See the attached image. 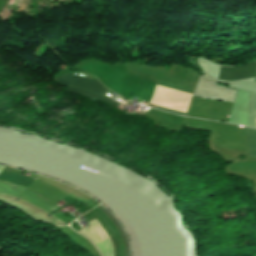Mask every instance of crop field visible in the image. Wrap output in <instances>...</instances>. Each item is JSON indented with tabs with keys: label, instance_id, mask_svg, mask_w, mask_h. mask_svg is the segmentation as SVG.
Wrapping results in <instances>:
<instances>
[{
	"label": "crop field",
	"instance_id": "1",
	"mask_svg": "<svg viewBox=\"0 0 256 256\" xmlns=\"http://www.w3.org/2000/svg\"><path fill=\"white\" fill-rule=\"evenodd\" d=\"M191 96V94L157 86L150 104L156 106L157 109L185 116Z\"/></svg>",
	"mask_w": 256,
	"mask_h": 256
},
{
	"label": "crop field",
	"instance_id": "2",
	"mask_svg": "<svg viewBox=\"0 0 256 256\" xmlns=\"http://www.w3.org/2000/svg\"><path fill=\"white\" fill-rule=\"evenodd\" d=\"M55 80H58V83H62V84L82 88V89L89 90V91H92V92H96V93H99V94H102V95L107 91V89L104 88L99 83V81L87 79V78L80 77V76L73 75V74H69V73H66V74L62 75V76L58 77Z\"/></svg>",
	"mask_w": 256,
	"mask_h": 256
},
{
	"label": "crop field",
	"instance_id": "3",
	"mask_svg": "<svg viewBox=\"0 0 256 256\" xmlns=\"http://www.w3.org/2000/svg\"><path fill=\"white\" fill-rule=\"evenodd\" d=\"M254 76H256L255 61L250 64H246V65H242L234 68L221 67L218 79L234 81V80H240V79H245V78L254 77Z\"/></svg>",
	"mask_w": 256,
	"mask_h": 256
},
{
	"label": "crop field",
	"instance_id": "4",
	"mask_svg": "<svg viewBox=\"0 0 256 256\" xmlns=\"http://www.w3.org/2000/svg\"><path fill=\"white\" fill-rule=\"evenodd\" d=\"M0 180L10 182V183H14V184H18V185L25 186V187H27L28 185H30L34 181V179L19 176V175H16V174L5 172V171H3L0 174Z\"/></svg>",
	"mask_w": 256,
	"mask_h": 256
},
{
	"label": "crop field",
	"instance_id": "5",
	"mask_svg": "<svg viewBox=\"0 0 256 256\" xmlns=\"http://www.w3.org/2000/svg\"><path fill=\"white\" fill-rule=\"evenodd\" d=\"M68 90L72 93H77V94H80V95H83V96H86V97H91V98H95V99H99V100H103L105 102H108L112 105H117L119 103L111 100V99H108L104 96H101V95H98V94H94V93H91V92H87V91H83V90H79V89H74V88H68Z\"/></svg>",
	"mask_w": 256,
	"mask_h": 256
},
{
	"label": "crop field",
	"instance_id": "6",
	"mask_svg": "<svg viewBox=\"0 0 256 256\" xmlns=\"http://www.w3.org/2000/svg\"><path fill=\"white\" fill-rule=\"evenodd\" d=\"M245 131L250 149L249 155L256 157V130L245 127Z\"/></svg>",
	"mask_w": 256,
	"mask_h": 256
},
{
	"label": "crop field",
	"instance_id": "7",
	"mask_svg": "<svg viewBox=\"0 0 256 256\" xmlns=\"http://www.w3.org/2000/svg\"><path fill=\"white\" fill-rule=\"evenodd\" d=\"M101 210H103L113 221H114V223L117 225V227H118V229H119V231H120V233H121V235H122V237H123V239H124V241H125V245H126V256H129V247H128V244H127V241H126V237H125V235H124V233H123V231H122V229H121V227H120V225L117 223V221L112 217V215L104 208V207H102V206H98ZM103 212V213H104ZM104 213V214H105ZM105 214V215H106ZM106 215V216H107ZM107 216V217H108ZM108 217V218H109ZM109 218V219H110ZM110 219V220H111ZM111 220V222L113 223V221ZM113 223V225L115 226V228H116V230L118 231V229H117V227H116V225ZM119 231H118V233H119ZM120 233H119V235H120ZM121 235H120V237H121ZM122 237H121V239H122ZM123 239H122V241H123ZM124 241H123V246H124ZM124 255H125V246H124Z\"/></svg>",
	"mask_w": 256,
	"mask_h": 256
}]
</instances>
